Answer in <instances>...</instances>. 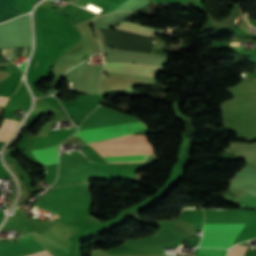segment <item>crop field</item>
<instances>
[{
    "instance_id": "crop-field-1",
    "label": "crop field",
    "mask_w": 256,
    "mask_h": 256,
    "mask_svg": "<svg viewBox=\"0 0 256 256\" xmlns=\"http://www.w3.org/2000/svg\"><path fill=\"white\" fill-rule=\"evenodd\" d=\"M91 145L109 162L150 160L153 155L146 136L128 135Z\"/></svg>"
},
{
    "instance_id": "crop-field-10",
    "label": "crop field",
    "mask_w": 256,
    "mask_h": 256,
    "mask_svg": "<svg viewBox=\"0 0 256 256\" xmlns=\"http://www.w3.org/2000/svg\"><path fill=\"white\" fill-rule=\"evenodd\" d=\"M4 121L0 127V140L7 141L14 133L18 121L3 118Z\"/></svg>"
},
{
    "instance_id": "crop-field-13",
    "label": "crop field",
    "mask_w": 256,
    "mask_h": 256,
    "mask_svg": "<svg viewBox=\"0 0 256 256\" xmlns=\"http://www.w3.org/2000/svg\"><path fill=\"white\" fill-rule=\"evenodd\" d=\"M7 100H8V98H6V97H0V105H4Z\"/></svg>"
},
{
    "instance_id": "crop-field-11",
    "label": "crop field",
    "mask_w": 256,
    "mask_h": 256,
    "mask_svg": "<svg viewBox=\"0 0 256 256\" xmlns=\"http://www.w3.org/2000/svg\"><path fill=\"white\" fill-rule=\"evenodd\" d=\"M226 252L221 249H198L196 256H225Z\"/></svg>"
},
{
    "instance_id": "crop-field-12",
    "label": "crop field",
    "mask_w": 256,
    "mask_h": 256,
    "mask_svg": "<svg viewBox=\"0 0 256 256\" xmlns=\"http://www.w3.org/2000/svg\"><path fill=\"white\" fill-rule=\"evenodd\" d=\"M245 250L246 246L236 245L230 249L228 256H242Z\"/></svg>"
},
{
    "instance_id": "crop-field-9",
    "label": "crop field",
    "mask_w": 256,
    "mask_h": 256,
    "mask_svg": "<svg viewBox=\"0 0 256 256\" xmlns=\"http://www.w3.org/2000/svg\"><path fill=\"white\" fill-rule=\"evenodd\" d=\"M14 0H0V22L18 16Z\"/></svg>"
},
{
    "instance_id": "crop-field-7",
    "label": "crop field",
    "mask_w": 256,
    "mask_h": 256,
    "mask_svg": "<svg viewBox=\"0 0 256 256\" xmlns=\"http://www.w3.org/2000/svg\"><path fill=\"white\" fill-rule=\"evenodd\" d=\"M231 187L256 195V183L235 176L231 181ZM246 193L238 202L256 207V196Z\"/></svg>"
},
{
    "instance_id": "crop-field-5",
    "label": "crop field",
    "mask_w": 256,
    "mask_h": 256,
    "mask_svg": "<svg viewBox=\"0 0 256 256\" xmlns=\"http://www.w3.org/2000/svg\"><path fill=\"white\" fill-rule=\"evenodd\" d=\"M148 129L146 125L142 124L141 121L133 122L129 124L87 130L77 132L75 135L82 138L86 143L105 140L110 137L132 134V133H140L144 130Z\"/></svg>"
},
{
    "instance_id": "crop-field-2",
    "label": "crop field",
    "mask_w": 256,
    "mask_h": 256,
    "mask_svg": "<svg viewBox=\"0 0 256 256\" xmlns=\"http://www.w3.org/2000/svg\"><path fill=\"white\" fill-rule=\"evenodd\" d=\"M115 28L140 33L157 38L155 35L158 33L165 34L163 30L152 29L142 25L121 22L118 27ZM160 67L135 64V63H121V62H106L103 72H114L124 74L142 75L153 78Z\"/></svg>"
},
{
    "instance_id": "crop-field-8",
    "label": "crop field",
    "mask_w": 256,
    "mask_h": 256,
    "mask_svg": "<svg viewBox=\"0 0 256 256\" xmlns=\"http://www.w3.org/2000/svg\"><path fill=\"white\" fill-rule=\"evenodd\" d=\"M59 146L33 150L32 153L43 165L54 164L57 163Z\"/></svg>"
},
{
    "instance_id": "crop-field-3",
    "label": "crop field",
    "mask_w": 256,
    "mask_h": 256,
    "mask_svg": "<svg viewBox=\"0 0 256 256\" xmlns=\"http://www.w3.org/2000/svg\"><path fill=\"white\" fill-rule=\"evenodd\" d=\"M31 45L30 15L0 24V48Z\"/></svg>"
},
{
    "instance_id": "crop-field-4",
    "label": "crop field",
    "mask_w": 256,
    "mask_h": 256,
    "mask_svg": "<svg viewBox=\"0 0 256 256\" xmlns=\"http://www.w3.org/2000/svg\"><path fill=\"white\" fill-rule=\"evenodd\" d=\"M245 224L204 225L199 247L230 248Z\"/></svg>"
},
{
    "instance_id": "crop-field-14",
    "label": "crop field",
    "mask_w": 256,
    "mask_h": 256,
    "mask_svg": "<svg viewBox=\"0 0 256 256\" xmlns=\"http://www.w3.org/2000/svg\"><path fill=\"white\" fill-rule=\"evenodd\" d=\"M27 48V47H26ZM26 48H25V50H26ZM24 53H25V51H24Z\"/></svg>"
},
{
    "instance_id": "crop-field-6",
    "label": "crop field",
    "mask_w": 256,
    "mask_h": 256,
    "mask_svg": "<svg viewBox=\"0 0 256 256\" xmlns=\"http://www.w3.org/2000/svg\"><path fill=\"white\" fill-rule=\"evenodd\" d=\"M52 11L41 7V25H42V52L37 68L43 69L49 55V48L51 45L50 25H51Z\"/></svg>"
}]
</instances>
